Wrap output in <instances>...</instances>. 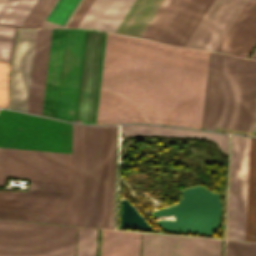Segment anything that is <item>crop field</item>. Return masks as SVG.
I'll use <instances>...</instances> for the list:
<instances>
[{
	"label": "crop field",
	"mask_w": 256,
	"mask_h": 256,
	"mask_svg": "<svg viewBox=\"0 0 256 256\" xmlns=\"http://www.w3.org/2000/svg\"><path fill=\"white\" fill-rule=\"evenodd\" d=\"M70 184L31 180L27 192L0 191V218L69 225Z\"/></svg>",
	"instance_id": "crop-field-6"
},
{
	"label": "crop field",
	"mask_w": 256,
	"mask_h": 256,
	"mask_svg": "<svg viewBox=\"0 0 256 256\" xmlns=\"http://www.w3.org/2000/svg\"><path fill=\"white\" fill-rule=\"evenodd\" d=\"M224 57L210 52L201 129L215 130Z\"/></svg>",
	"instance_id": "crop-field-22"
},
{
	"label": "crop field",
	"mask_w": 256,
	"mask_h": 256,
	"mask_svg": "<svg viewBox=\"0 0 256 256\" xmlns=\"http://www.w3.org/2000/svg\"><path fill=\"white\" fill-rule=\"evenodd\" d=\"M37 29H19L10 73V108L27 111Z\"/></svg>",
	"instance_id": "crop-field-13"
},
{
	"label": "crop field",
	"mask_w": 256,
	"mask_h": 256,
	"mask_svg": "<svg viewBox=\"0 0 256 256\" xmlns=\"http://www.w3.org/2000/svg\"><path fill=\"white\" fill-rule=\"evenodd\" d=\"M256 7V0H249L241 14L231 27L230 31L217 49L218 52L227 53L230 46L238 36L239 32L247 22ZM256 41V9L249 18L248 22L240 32L239 36L231 46L228 53L246 57L251 47Z\"/></svg>",
	"instance_id": "crop-field-17"
},
{
	"label": "crop field",
	"mask_w": 256,
	"mask_h": 256,
	"mask_svg": "<svg viewBox=\"0 0 256 256\" xmlns=\"http://www.w3.org/2000/svg\"><path fill=\"white\" fill-rule=\"evenodd\" d=\"M71 154L0 148V186L6 177L70 183Z\"/></svg>",
	"instance_id": "crop-field-9"
},
{
	"label": "crop field",
	"mask_w": 256,
	"mask_h": 256,
	"mask_svg": "<svg viewBox=\"0 0 256 256\" xmlns=\"http://www.w3.org/2000/svg\"><path fill=\"white\" fill-rule=\"evenodd\" d=\"M208 56L107 33L96 123L200 128Z\"/></svg>",
	"instance_id": "crop-field-1"
},
{
	"label": "crop field",
	"mask_w": 256,
	"mask_h": 256,
	"mask_svg": "<svg viewBox=\"0 0 256 256\" xmlns=\"http://www.w3.org/2000/svg\"><path fill=\"white\" fill-rule=\"evenodd\" d=\"M15 28L0 26V60L10 62L13 43L16 36Z\"/></svg>",
	"instance_id": "crop-field-25"
},
{
	"label": "crop field",
	"mask_w": 256,
	"mask_h": 256,
	"mask_svg": "<svg viewBox=\"0 0 256 256\" xmlns=\"http://www.w3.org/2000/svg\"><path fill=\"white\" fill-rule=\"evenodd\" d=\"M255 104L256 61L226 54L217 127L252 131Z\"/></svg>",
	"instance_id": "crop-field-5"
},
{
	"label": "crop field",
	"mask_w": 256,
	"mask_h": 256,
	"mask_svg": "<svg viewBox=\"0 0 256 256\" xmlns=\"http://www.w3.org/2000/svg\"><path fill=\"white\" fill-rule=\"evenodd\" d=\"M51 29H38L28 111L41 115Z\"/></svg>",
	"instance_id": "crop-field-20"
},
{
	"label": "crop field",
	"mask_w": 256,
	"mask_h": 256,
	"mask_svg": "<svg viewBox=\"0 0 256 256\" xmlns=\"http://www.w3.org/2000/svg\"><path fill=\"white\" fill-rule=\"evenodd\" d=\"M72 124L0 110V147L71 153Z\"/></svg>",
	"instance_id": "crop-field-8"
},
{
	"label": "crop field",
	"mask_w": 256,
	"mask_h": 256,
	"mask_svg": "<svg viewBox=\"0 0 256 256\" xmlns=\"http://www.w3.org/2000/svg\"><path fill=\"white\" fill-rule=\"evenodd\" d=\"M96 236L78 227L76 252L75 227L0 220V256H95Z\"/></svg>",
	"instance_id": "crop-field-2"
},
{
	"label": "crop field",
	"mask_w": 256,
	"mask_h": 256,
	"mask_svg": "<svg viewBox=\"0 0 256 256\" xmlns=\"http://www.w3.org/2000/svg\"><path fill=\"white\" fill-rule=\"evenodd\" d=\"M165 0H105L89 28L142 37ZM184 0H166L143 35L158 41Z\"/></svg>",
	"instance_id": "crop-field-4"
},
{
	"label": "crop field",
	"mask_w": 256,
	"mask_h": 256,
	"mask_svg": "<svg viewBox=\"0 0 256 256\" xmlns=\"http://www.w3.org/2000/svg\"><path fill=\"white\" fill-rule=\"evenodd\" d=\"M225 256H256V243L226 241Z\"/></svg>",
	"instance_id": "crop-field-26"
},
{
	"label": "crop field",
	"mask_w": 256,
	"mask_h": 256,
	"mask_svg": "<svg viewBox=\"0 0 256 256\" xmlns=\"http://www.w3.org/2000/svg\"><path fill=\"white\" fill-rule=\"evenodd\" d=\"M106 32L84 30L73 121L95 124Z\"/></svg>",
	"instance_id": "crop-field-10"
},
{
	"label": "crop field",
	"mask_w": 256,
	"mask_h": 256,
	"mask_svg": "<svg viewBox=\"0 0 256 256\" xmlns=\"http://www.w3.org/2000/svg\"><path fill=\"white\" fill-rule=\"evenodd\" d=\"M92 2L93 0H84L77 12L72 17L67 27H77Z\"/></svg>",
	"instance_id": "crop-field-29"
},
{
	"label": "crop field",
	"mask_w": 256,
	"mask_h": 256,
	"mask_svg": "<svg viewBox=\"0 0 256 256\" xmlns=\"http://www.w3.org/2000/svg\"><path fill=\"white\" fill-rule=\"evenodd\" d=\"M38 0H0V25L21 27Z\"/></svg>",
	"instance_id": "crop-field-24"
},
{
	"label": "crop field",
	"mask_w": 256,
	"mask_h": 256,
	"mask_svg": "<svg viewBox=\"0 0 256 256\" xmlns=\"http://www.w3.org/2000/svg\"><path fill=\"white\" fill-rule=\"evenodd\" d=\"M116 126L102 127L99 227L113 229Z\"/></svg>",
	"instance_id": "crop-field-15"
},
{
	"label": "crop field",
	"mask_w": 256,
	"mask_h": 256,
	"mask_svg": "<svg viewBox=\"0 0 256 256\" xmlns=\"http://www.w3.org/2000/svg\"><path fill=\"white\" fill-rule=\"evenodd\" d=\"M140 235L103 230L101 256H139ZM194 247L192 237L143 233L142 256H194ZM220 251L221 240L196 238L195 256H220Z\"/></svg>",
	"instance_id": "crop-field-7"
},
{
	"label": "crop field",
	"mask_w": 256,
	"mask_h": 256,
	"mask_svg": "<svg viewBox=\"0 0 256 256\" xmlns=\"http://www.w3.org/2000/svg\"><path fill=\"white\" fill-rule=\"evenodd\" d=\"M248 0H213L183 47L216 51Z\"/></svg>",
	"instance_id": "crop-field-11"
},
{
	"label": "crop field",
	"mask_w": 256,
	"mask_h": 256,
	"mask_svg": "<svg viewBox=\"0 0 256 256\" xmlns=\"http://www.w3.org/2000/svg\"><path fill=\"white\" fill-rule=\"evenodd\" d=\"M66 29H52L42 115L55 118Z\"/></svg>",
	"instance_id": "crop-field-18"
},
{
	"label": "crop field",
	"mask_w": 256,
	"mask_h": 256,
	"mask_svg": "<svg viewBox=\"0 0 256 256\" xmlns=\"http://www.w3.org/2000/svg\"><path fill=\"white\" fill-rule=\"evenodd\" d=\"M251 138L231 135L226 239L245 240ZM246 240L256 241V138H252Z\"/></svg>",
	"instance_id": "crop-field-3"
},
{
	"label": "crop field",
	"mask_w": 256,
	"mask_h": 256,
	"mask_svg": "<svg viewBox=\"0 0 256 256\" xmlns=\"http://www.w3.org/2000/svg\"><path fill=\"white\" fill-rule=\"evenodd\" d=\"M124 136L164 135L174 137L205 138L214 140L223 153H227L228 136L218 133L162 128L156 126H122Z\"/></svg>",
	"instance_id": "crop-field-23"
},
{
	"label": "crop field",
	"mask_w": 256,
	"mask_h": 256,
	"mask_svg": "<svg viewBox=\"0 0 256 256\" xmlns=\"http://www.w3.org/2000/svg\"><path fill=\"white\" fill-rule=\"evenodd\" d=\"M211 2L212 0H185L159 42L183 46Z\"/></svg>",
	"instance_id": "crop-field-16"
},
{
	"label": "crop field",
	"mask_w": 256,
	"mask_h": 256,
	"mask_svg": "<svg viewBox=\"0 0 256 256\" xmlns=\"http://www.w3.org/2000/svg\"><path fill=\"white\" fill-rule=\"evenodd\" d=\"M81 0H39L22 27H64Z\"/></svg>",
	"instance_id": "crop-field-19"
},
{
	"label": "crop field",
	"mask_w": 256,
	"mask_h": 256,
	"mask_svg": "<svg viewBox=\"0 0 256 256\" xmlns=\"http://www.w3.org/2000/svg\"><path fill=\"white\" fill-rule=\"evenodd\" d=\"M101 127L85 126L82 226L98 227Z\"/></svg>",
	"instance_id": "crop-field-12"
},
{
	"label": "crop field",
	"mask_w": 256,
	"mask_h": 256,
	"mask_svg": "<svg viewBox=\"0 0 256 256\" xmlns=\"http://www.w3.org/2000/svg\"><path fill=\"white\" fill-rule=\"evenodd\" d=\"M10 64L0 62V106L8 108V73Z\"/></svg>",
	"instance_id": "crop-field-27"
},
{
	"label": "crop field",
	"mask_w": 256,
	"mask_h": 256,
	"mask_svg": "<svg viewBox=\"0 0 256 256\" xmlns=\"http://www.w3.org/2000/svg\"><path fill=\"white\" fill-rule=\"evenodd\" d=\"M84 126L73 124L70 225L81 226Z\"/></svg>",
	"instance_id": "crop-field-21"
},
{
	"label": "crop field",
	"mask_w": 256,
	"mask_h": 256,
	"mask_svg": "<svg viewBox=\"0 0 256 256\" xmlns=\"http://www.w3.org/2000/svg\"><path fill=\"white\" fill-rule=\"evenodd\" d=\"M83 30L67 29L56 118L73 117Z\"/></svg>",
	"instance_id": "crop-field-14"
},
{
	"label": "crop field",
	"mask_w": 256,
	"mask_h": 256,
	"mask_svg": "<svg viewBox=\"0 0 256 256\" xmlns=\"http://www.w3.org/2000/svg\"><path fill=\"white\" fill-rule=\"evenodd\" d=\"M103 2H104V0H94L92 5L90 6L89 10L87 11L85 16L81 20L80 24L78 25V27L88 28L89 24L93 20L94 16L98 12V10L101 7Z\"/></svg>",
	"instance_id": "crop-field-28"
}]
</instances>
